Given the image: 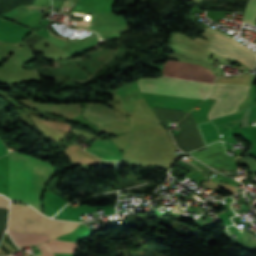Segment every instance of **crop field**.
<instances>
[{"mask_svg": "<svg viewBox=\"0 0 256 256\" xmlns=\"http://www.w3.org/2000/svg\"><path fill=\"white\" fill-rule=\"evenodd\" d=\"M9 201L0 195V208L8 209Z\"/></svg>", "mask_w": 256, "mask_h": 256, "instance_id": "obj_14", "label": "crop field"}, {"mask_svg": "<svg viewBox=\"0 0 256 256\" xmlns=\"http://www.w3.org/2000/svg\"><path fill=\"white\" fill-rule=\"evenodd\" d=\"M39 120V119H38ZM43 123L63 132L64 134L69 132V125L65 123H58V122H51V121H45V120H40ZM62 133V134H63Z\"/></svg>", "mask_w": 256, "mask_h": 256, "instance_id": "obj_13", "label": "crop field"}, {"mask_svg": "<svg viewBox=\"0 0 256 256\" xmlns=\"http://www.w3.org/2000/svg\"><path fill=\"white\" fill-rule=\"evenodd\" d=\"M192 1L198 3V2H200V1H202V0H192ZM196 3H195V4H196Z\"/></svg>", "mask_w": 256, "mask_h": 256, "instance_id": "obj_15", "label": "crop field"}, {"mask_svg": "<svg viewBox=\"0 0 256 256\" xmlns=\"http://www.w3.org/2000/svg\"><path fill=\"white\" fill-rule=\"evenodd\" d=\"M205 30L215 34L209 51L214 52L224 58L237 59L249 68L253 69L256 64V55L237 42L235 39L218 32L210 27Z\"/></svg>", "mask_w": 256, "mask_h": 256, "instance_id": "obj_5", "label": "crop field"}, {"mask_svg": "<svg viewBox=\"0 0 256 256\" xmlns=\"http://www.w3.org/2000/svg\"><path fill=\"white\" fill-rule=\"evenodd\" d=\"M79 223L54 221L24 205L11 204L8 229L16 232L42 233L52 238L67 234Z\"/></svg>", "mask_w": 256, "mask_h": 256, "instance_id": "obj_3", "label": "crop field"}, {"mask_svg": "<svg viewBox=\"0 0 256 256\" xmlns=\"http://www.w3.org/2000/svg\"><path fill=\"white\" fill-rule=\"evenodd\" d=\"M256 18V0H250L245 10L242 22L254 24Z\"/></svg>", "mask_w": 256, "mask_h": 256, "instance_id": "obj_12", "label": "crop field"}, {"mask_svg": "<svg viewBox=\"0 0 256 256\" xmlns=\"http://www.w3.org/2000/svg\"><path fill=\"white\" fill-rule=\"evenodd\" d=\"M214 78L215 76L202 66L167 61L162 78L140 79L137 85L141 92L205 99L212 90Z\"/></svg>", "mask_w": 256, "mask_h": 256, "instance_id": "obj_1", "label": "crop field"}, {"mask_svg": "<svg viewBox=\"0 0 256 256\" xmlns=\"http://www.w3.org/2000/svg\"><path fill=\"white\" fill-rule=\"evenodd\" d=\"M250 86L214 83V90L208 96L218 99L208 113V118H216L233 113L241 100L246 98Z\"/></svg>", "mask_w": 256, "mask_h": 256, "instance_id": "obj_4", "label": "crop field"}, {"mask_svg": "<svg viewBox=\"0 0 256 256\" xmlns=\"http://www.w3.org/2000/svg\"><path fill=\"white\" fill-rule=\"evenodd\" d=\"M66 155L74 162L78 164H88V163H99V158L76 147L70 146L65 149Z\"/></svg>", "mask_w": 256, "mask_h": 256, "instance_id": "obj_10", "label": "crop field"}, {"mask_svg": "<svg viewBox=\"0 0 256 256\" xmlns=\"http://www.w3.org/2000/svg\"><path fill=\"white\" fill-rule=\"evenodd\" d=\"M51 168L44 162L9 152L10 199L26 202L41 211V196L51 177Z\"/></svg>", "mask_w": 256, "mask_h": 256, "instance_id": "obj_2", "label": "crop field"}, {"mask_svg": "<svg viewBox=\"0 0 256 256\" xmlns=\"http://www.w3.org/2000/svg\"><path fill=\"white\" fill-rule=\"evenodd\" d=\"M83 116L98 126L121 122L123 120L127 122L126 116L114 112L98 103H85Z\"/></svg>", "mask_w": 256, "mask_h": 256, "instance_id": "obj_7", "label": "crop field"}, {"mask_svg": "<svg viewBox=\"0 0 256 256\" xmlns=\"http://www.w3.org/2000/svg\"><path fill=\"white\" fill-rule=\"evenodd\" d=\"M152 109L156 113V115L159 117L161 122L164 124V126L172 122L180 121L188 113L185 111H176V110H168V109H159V108H152Z\"/></svg>", "mask_w": 256, "mask_h": 256, "instance_id": "obj_11", "label": "crop field"}, {"mask_svg": "<svg viewBox=\"0 0 256 256\" xmlns=\"http://www.w3.org/2000/svg\"><path fill=\"white\" fill-rule=\"evenodd\" d=\"M18 101L31 108L45 111L51 114L60 115L66 120L80 115V112H81V104L45 105V104L36 103L32 100L23 99Z\"/></svg>", "mask_w": 256, "mask_h": 256, "instance_id": "obj_8", "label": "crop field"}, {"mask_svg": "<svg viewBox=\"0 0 256 256\" xmlns=\"http://www.w3.org/2000/svg\"><path fill=\"white\" fill-rule=\"evenodd\" d=\"M76 245L77 243L53 240L38 246L42 253L36 254V256H54L52 252L74 253Z\"/></svg>", "mask_w": 256, "mask_h": 256, "instance_id": "obj_9", "label": "crop field"}, {"mask_svg": "<svg viewBox=\"0 0 256 256\" xmlns=\"http://www.w3.org/2000/svg\"><path fill=\"white\" fill-rule=\"evenodd\" d=\"M179 135L174 137L177 146L188 153L191 150L203 147L202 140L195 126L191 112L178 123Z\"/></svg>", "mask_w": 256, "mask_h": 256, "instance_id": "obj_6", "label": "crop field"}]
</instances>
